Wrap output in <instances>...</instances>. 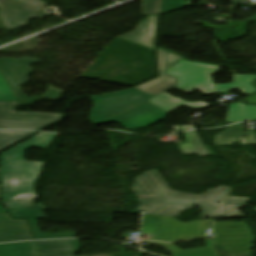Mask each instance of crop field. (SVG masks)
Listing matches in <instances>:
<instances>
[{
    "label": "crop field",
    "mask_w": 256,
    "mask_h": 256,
    "mask_svg": "<svg viewBox=\"0 0 256 256\" xmlns=\"http://www.w3.org/2000/svg\"><path fill=\"white\" fill-rule=\"evenodd\" d=\"M35 209H46L44 206H42L41 204L39 205H34V206H31V207H28V208H24V209H21L19 211H25V210H35ZM9 212H15L17 210H11V209H8Z\"/></svg>",
    "instance_id": "d32e631a"
},
{
    "label": "crop field",
    "mask_w": 256,
    "mask_h": 256,
    "mask_svg": "<svg viewBox=\"0 0 256 256\" xmlns=\"http://www.w3.org/2000/svg\"><path fill=\"white\" fill-rule=\"evenodd\" d=\"M251 119H256V106L245 105L244 103L230 105L226 117L227 123Z\"/></svg>",
    "instance_id": "bc2a9ffb"
},
{
    "label": "crop field",
    "mask_w": 256,
    "mask_h": 256,
    "mask_svg": "<svg viewBox=\"0 0 256 256\" xmlns=\"http://www.w3.org/2000/svg\"><path fill=\"white\" fill-rule=\"evenodd\" d=\"M222 1H231V0H222Z\"/></svg>",
    "instance_id": "b80d0937"
},
{
    "label": "crop field",
    "mask_w": 256,
    "mask_h": 256,
    "mask_svg": "<svg viewBox=\"0 0 256 256\" xmlns=\"http://www.w3.org/2000/svg\"><path fill=\"white\" fill-rule=\"evenodd\" d=\"M32 1H34L35 3H32ZM37 1L39 0H18L17 3L30 6L33 8H36V6H38L39 8L36 9L43 10L47 3L44 4V2L42 1H39V3H37Z\"/></svg>",
    "instance_id": "bd1437ed"
},
{
    "label": "crop field",
    "mask_w": 256,
    "mask_h": 256,
    "mask_svg": "<svg viewBox=\"0 0 256 256\" xmlns=\"http://www.w3.org/2000/svg\"><path fill=\"white\" fill-rule=\"evenodd\" d=\"M245 203H235V204H224V212L222 218H239L244 217L238 210L243 207Z\"/></svg>",
    "instance_id": "d3111659"
},
{
    "label": "crop field",
    "mask_w": 256,
    "mask_h": 256,
    "mask_svg": "<svg viewBox=\"0 0 256 256\" xmlns=\"http://www.w3.org/2000/svg\"><path fill=\"white\" fill-rule=\"evenodd\" d=\"M159 78L136 87L154 96L177 85L176 78L163 73L178 60L182 59L179 55L162 49L157 50Z\"/></svg>",
    "instance_id": "28ad6ade"
},
{
    "label": "crop field",
    "mask_w": 256,
    "mask_h": 256,
    "mask_svg": "<svg viewBox=\"0 0 256 256\" xmlns=\"http://www.w3.org/2000/svg\"><path fill=\"white\" fill-rule=\"evenodd\" d=\"M0 256H38L33 242L0 245Z\"/></svg>",
    "instance_id": "214f88e0"
},
{
    "label": "crop field",
    "mask_w": 256,
    "mask_h": 256,
    "mask_svg": "<svg viewBox=\"0 0 256 256\" xmlns=\"http://www.w3.org/2000/svg\"><path fill=\"white\" fill-rule=\"evenodd\" d=\"M230 187L219 186L216 189H209L205 194L199 195L197 205L201 207H215L216 203H221L228 194Z\"/></svg>",
    "instance_id": "92a150f3"
},
{
    "label": "crop field",
    "mask_w": 256,
    "mask_h": 256,
    "mask_svg": "<svg viewBox=\"0 0 256 256\" xmlns=\"http://www.w3.org/2000/svg\"><path fill=\"white\" fill-rule=\"evenodd\" d=\"M154 96L132 88L125 92L93 96L94 108L91 112V122L96 124L107 118L114 117L133 108Z\"/></svg>",
    "instance_id": "f4fd0767"
},
{
    "label": "crop field",
    "mask_w": 256,
    "mask_h": 256,
    "mask_svg": "<svg viewBox=\"0 0 256 256\" xmlns=\"http://www.w3.org/2000/svg\"><path fill=\"white\" fill-rule=\"evenodd\" d=\"M36 63L39 61L31 58L0 60L1 73L21 100L28 96L22 92L20 86L28 83V75L35 72L30 66Z\"/></svg>",
    "instance_id": "5a996713"
},
{
    "label": "crop field",
    "mask_w": 256,
    "mask_h": 256,
    "mask_svg": "<svg viewBox=\"0 0 256 256\" xmlns=\"http://www.w3.org/2000/svg\"><path fill=\"white\" fill-rule=\"evenodd\" d=\"M14 218H27L30 221L36 240L75 238V232L41 234L36 219L46 218L42 210L11 213Z\"/></svg>",
    "instance_id": "d9b57169"
},
{
    "label": "crop field",
    "mask_w": 256,
    "mask_h": 256,
    "mask_svg": "<svg viewBox=\"0 0 256 256\" xmlns=\"http://www.w3.org/2000/svg\"><path fill=\"white\" fill-rule=\"evenodd\" d=\"M36 243L40 256H75L80 249L78 240Z\"/></svg>",
    "instance_id": "5142ce71"
},
{
    "label": "crop field",
    "mask_w": 256,
    "mask_h": 256,
    "mask_svg": "<svg viewBox=\"0 0 256 256\" xmlns=\"http://www.w3.org/2000/svg\"><path fill=\"white\" fill-rule=\"evenodd\" d=\"M33 134L35 133L0 130V152Z\"/></svg>",
    "instance_id": "00972430"
},
{
    "label": "crop field",
    "mask_w": 256,
    "mask_h": 256,
    "mask_svg": "<svg viewBox=\"0 0 256 256\" xmlns=\"http://www.w3.org/2000/svg\"><path fill=\"white\" fill-rule=\"evenodd\" d=\"M132 189L139 196L197 199L198 196L170 190L157 171H149L136 179Z\"/></svg>",
    "instance_id": "d8731c3e"
},
{
    "label": "crop field",
    "mask_w": 256,
    "mask_h": 256,
    "mask_svg": "<svg viewBox=\"0 0 256 256\" xmlns=\"http://www.w3.org/2000/svg\"><path fill=\"white\" fill-rule=\"evenodd\" d=\"M255 79L256 75H233V83L216 85L217 93L239 89L242 95H250L256 92V88L252 86Z\"/></svg>",
    "instance_id": "4a817a6b"
},
{
    "label": "crop field",
    "mask_w": 256,
    "mask_h": 256,
    "mask_svg": "<svg viewBox=\"0 0 256 256\" xmlns=\"http://www.w3.org/2000/svg\"><path fill=\"white\" fill-rule=\"evenodd\" d=\"M168 113L155 107L154 105L145 102L133 109H130L112 119H107L99 124L116 122L126 128L148 127L164 118Z\"/></svg>",
    "instance_id": "e52e79f7"
},
{
    "label": "crop field",
    "mask_w": 256,
    "mask_h": 256,
    "mask_svg": "<svg viewBox=\"0 0 256 256\" xmlns=\"http://www.w3.org/2000/svg\"><path fill=\"white\" fill-rule=\"evenodd\" d=\"M256 95V94H255ZM247 102L249 103H256V96L250 97L247 99Z\"/></svg>",
    "instance_id": "5866460e"
},
{
    "label": "crop field",
    "mask_w": 256,
    "mask_h": 256,
    "mask_svg": "<svg viewBox=\"0 0 256 256\" xmlns=\"http://www.w3.org/2000/svg\"><path fill=\"white\" fill-rule=\"evenodd\" d=\"M212 221L183 223L176 218L145 216L143 233L146 240L164 242L204 238L209 236Z\"/></svg>",
    "instance_id": "34b2d1b8"
},
{
    "label": "crop field",
    "mask_w": 256,
    "mask_h": 256,
    "mask_svg": "<svg viewBox=\"0 0 256 256\" xmlns=\"http://www.w3.org/2000/svg\"><path fill=\"white\" fill-rule=\"evenodd\" d=\"M18 100L4 78L0 74V101Z\"/></svg>",
    "instance_id": "ae1a2a85"
},
{
    "label": "crop field",
    "mask_w": 256,
    "mask_h": 256,
    "mask_svg": "<svg viewBox=\"0 0 256 256\" xmlns=\"http://www.w3.org/2000/svg\"><path fill=\"white\" fill-rule=\"evenodd\" d=\"M189 143L179 144V148L182 150L184 155L196 154L198 156L208 155L202 142L198 138L195 131L187 132L184 134ZM180 150V151H181Z\"/></svg>",
    "instance_id": "dafd665d"
},
{
    "label": "crop field",
    "mask_w": 256,
    "mask_h": 256,
    "mask_svg": "<svg viewBox=\"0 0 256 256\" xmlns=\"http://www.w3.org/2000/svg\"><path fill=\"white\" fill-rule=\"evenodd\" d=\"M56 134L41 133L1 154V202L5 208L34 205V189L45 163L26 162L30 147L45 149Z\"/></svg>",
    "instance_id": "8a807250"
},
{
    "label": "crop field",
    "mask_w": 256,
    "mask_h": 256,
    "mask_svg": "<svg viewBox=\"0 0 256 256\" xmlns=\"http://www.w3.org/2000/svg\"><path fill=\"white\" fill-rule=\"evenodd\" d=\"M251 20L256 21V15H255V16H253V17H251V18H249V19H247V20H245V21L249 22V21H251Z\"/></svg>",
    "instance_id": "028f5c9d"
},
{
    "label": "crop field",
    "mask_w": 256,
    "mask_h": 256,
    "mask_svg": "<svg viewBox=\"0 0 256 256\" xmlns=\"http://www.w3.org/2000/svg\"><path fill=\"white\" fill-rule=\"evenodd\" d=\"M219 72V66H210L201 63L182 60L177 66L167 73L179 77L180 86L174 88L189 94L195 90L204 92L202 94H215V84L212 76Z\"/></svg>",
    "instance_id": "412701ff"
},
{
    "label": "crop field",
    "mask_w": 256,
    "mask_h": 256,
    "mask_svg": "<svg viewBox=\"0 0 256 256\" xmlns=\"http://www.w3.org/2000/svg\"><path fill=\"white\" fill-rule=\"evenodd\" d=\"M190 5V0H162L161 14Z\"/></svg>",
    "instance_id": "730fd06b"
},
{
    "label": "crop field",
    "mask_w": 256,
    "mask_h": 256,
    "mask_svg": "<svg viewBox=\"0 0 256 256\" xmlns=\"http://www.w3.org/2000/svg\"><path fill=\"white\" fill-rule=\"evenodd\" d=\"M249 198H240L229 196L225 203H235V202H247Z\"/></svg>",
    "instance_id": "120bbe31"
},
{
    "label": "crop field",
    "mask_w": 256,
    "mask_h": 256,
    "mask_svg": "<svg viewBox=\"0 0 256 256\" xmlns=\"http://www.w3.org/2000/svg\"><path fill=\"white\" fill-rule=\"evenodd\" d=\"M161 0H144L143 16L160 14Z\"/></svg>",
    "instance_id": "eef30255"
},
{
    "label": "crop field",
    "mask_w": 256,
    "mask_h": 256,
    "mask_svg": "<svg viewBox=\"0 0 256 256\" xmlns=\"http://www.w3.org/2000/svg\"><path fill=\"white\" fill-rule=\"evenodd\" d=\"M19 103L0 102V128L41 130L63 118V114L15 112Z\"/></svg>",
    "instance_id": "dd49c442"
},
{
    "label": "crop field",
    "mask_w": 256,
    "mask_h": 256,
    "mask_svg": "<svg viewBox=\"0 0 256 256\" xmlns=\"http://www.w3.org/2000/svg\"><path fill=\"white\" fill-rule=\"evenodd\" d=\"M0 212H6L5 209L0 204Z\"/></svg>",
    "instance_id": "e1f06a70"
},
{
    "label": "crop field",
    "mask_w": 256,
    "mask_h": 256,
    "mask_svg": "<svg viewBox=\"0 0 256 256\" xmlns=\"http://www.w3.org/2000/svg\"><path fill=\"white\" fill-rule=\"evenodd\" d=\"M243 124L244 123L227 127L225 131L216 135L214 144H233L237 142Z\"/></svg>",
    "instance_id": "a9b5d70f"
},
{
    "label": "crop field",
    "mask_w": 256,
    "mask_h": 256,
    "mask_svg": "<svg viewBox=\"0 0 256 256\" xmlns=\"http://www.w3.org/2000/svg\"><path fill=\"white\" fill-rule=\"evenodd\" d=\"M65 93H66V91H62V90H58V89L49 87L48 92L43 97L57 101ZM43 97L23 100V101H21V103L19 104L18 107L34 105L35 102L43 101Z\"/></svg>",
    "instance_id": "4177f3b9"
},
{
    "label": "crop field",
    "mask_w": 256,
    "mask_h": 256,
    "mask_svg": "<svg viewBox=\"0 0 256 256\" xmlns=\"http://www.w3.org/2000/svg\"><path fill=\"white\" fill-rule=\"evenodd\" d=\"M221 204H217L216 208H203L201 217L218 218L220 216Z\"/></svg>",
    "instance_id": "750c4746"
},
{
    "label": "crop field",
    "mask_w": 256,
    "mask_h": 256,
    "mask_svg": "<svg viewBox=\"0 0 256 256\" xmlns=\"http://www.w3.org/2000/svg\"><path fill=\"white\" fill-rule=\"evenodd\" d=\"M32 240L26 220H13L8 213H0V243Z\"/></svg>",
    "instance_id": "22f410ed"
},
{
    "label": "crop field",
    "mask_w": 256,
    "mask_h": 256,
    "mask_svg": "<svg viewBox=\"0 0 256 256\" xmlns=\"http://www.w3.org/2000/svg\"><path fill=\"white\" fill-rule=\"evenodd\" d=\"M13 1H15V0H13Z\"/></svg>",
    "instance_id": "c035e120"
},
{
    "label": "crop field",
    "mask_w": 256,
    "mask_h": 256,
    "mask_svg": "<svg viewBox=\"0 0 256 256\" xmlns=\"http://www.w3.org/2000/svg\"><path fill=\"white\" fill-rule=\"evenodd\" d=\"M252 210L256 212V208H254V209H252Z\"/></svg>",
    "instance_id": "0bd39190"
},
{
    "label": "crop field",
    "mask_w": 256,
    "mask_h": 256,
    "mask_svg": "<svg viewBox=\"0 0 256 256\" xmlns=\"http://www.w3.org/2000/svg\"><path fill=\"white\" fill-rule=\"evenodd\" d=\"M0 8L6 31L18 30L25 27L29 20L35 18L42 19L49 15L9 0H0Z\"/></svg>",
    "instance_id": "3316defc"
},
{
    "label": "crop field",
    "mask_w": 256,
    "mask_h": 256,
    "mask_svg": "<svg viewBox=\"0 0 256 256\" xmlns=\"http://www.w3.org/2000/svg\"><path fill=\"white\" fill-rule=\"evenodd\" d=\"M229 227H236L229 229ZM215 238L205 240L207 247L182 251L173 245L157 244L173 256H219L214 244H222L231 254H250L253 237L243 221L218 222L214 226Z\"/></svg>",
    "instance_id": "ac0d7876"
},
{
    "label": "crop field",
    "mask_w": 256,
    "mask_h": 256,
    "mask_svg": "<svg viewBox=\"0 0 256 256\" xmlns=\"http://www.w3.org/2000/svg\"><path fill=\"white\" fill-rule=\"evenodd\" d=\"M139 211L153 215L176 216L184 208L196 206L197 200L139 197Z\"/></svg>",
    "instance_id": "d1516ede"
},
{
    "label": "crop field",
    "mask_w": 256,
    "mask_h": 256,
    "mask_svg": "<svg viewBox=\"0 0 256 256\" xmlns=\"http://www.w3.org/2000/svg\"><path fill=\"white\" fill-rule=\"evenodd\" d=\"M157 20L158 16L147 18V20L140 22L132 33L120 37L139 44L147 45L154 49Z\"/></svg>",
    "instance_id": "cbeb9de0"
},
{
    "label": "crop field",
    "mask_w": 256,
    "mask_h": 256,
    "mask_svg": "<svg viewBox=\"0 0 256 256\" xmlns=\"http://www.w3.org/2000/svg\"><path fill=\"white\" fill-rule=\"evenodd\" d=\"M152 104H154L155 106L161 108L162 110L170 113L174 110H176L177 108L185 105L193 110H200V109H204L210 105L205 104L203 102H198V103H189L185 100H182L180 98H174L166 93H163L155 98H153L152 100L148 101Z\"/></svg>",
    "instance_id": "733c2abd"
},
{
    "label": "crop field",
    "mask_w": 256,
    "mask_h": 256,
    "mask_svg": "<svg viewBox=\"0 0 256 256\" xmlns=\"http://www.w3.org/2000/svg\"><path fill=\"white\" fill-rule=\"evenodd\" d=\"M244 144H256V133H245Z\"/></svg>",
    "instance_id": "1d83c4d3"
}]
</instances>
